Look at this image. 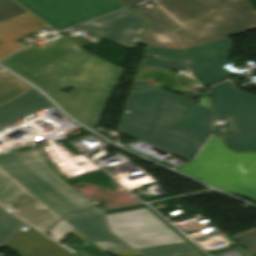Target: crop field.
<instances>
[{
    "label": "crop field",
    "instance_id": "obj_1",
    "mask_svg": "<svg viewBox=\"0 0 256 256\" xmlns=\"http://www.w3.org/2000/svg\"><path fill=\"white\" fill-rule=\"evenodd\" d=\"M0 63L46 90L68 113L93 129L123 72L65 37L41 47L30 45ZM71 88L73 94L61 92Z\"/></svg>",
    "mask_w": 256,
    "mask_h": 256
},
{
    "label": "crop field",
    "instance_id": "obj_2",
    "mask_svg": "<svg viewBox=\"0 0 256 256\" xmlns=\"http://www.w3.org/2000/svg\"><path fill=\"white\" fill-rule=\"evenodd\" d=\"M126 109L119 132L186 160L211 134L209 109L137 80Z\"/></svg>",
    "mask_w": 256,
    "mask_h": 256
},
{
    "label": "crop field",
    "instance_id": "obj_3",
    "mask_svg": "<svg viewBox=\"0 0 256 256\" xmlns=\"http://www.w3.org/2000/svg\"><path fill=\"white\" fill-rule=\"evenodd\" d=\"M15 1L57 31L124 7L116 0ZM45 26L13 1L0 0V58L26 46L15 40Z\"/></svg>",
    "mask_w": 256,
    "mask_h": 256
},
{
    "label": "crop field",
    "instance_id": "obj_4",
    "mask_svg": "<svg viewBox=\"0 0 256 256\" xmlns=\"http://www.w3.org/2000/svg\"><path fill=\"white\" fill-rule=\"evenodd\" d=\"M132 5L141 0H119ZM185 28L175 32L184 49L256 29L248 0H155Z\"/></svg>",
    "mask_w": 256,
    "mask_h": 256
},
{
    "label": "crop field",
    "instance_id": "obj_5",
    "mask_svg": "<svg viewBox=\"0 0 256 256\" xmlns=\"http://www.w3.org/2000/svg\"><path fill=\"white\" fill-rule=\"evenodd\" d=\"M0 165L61 217L97 210L47 166L41 147L1 155Z\"/></svg>",
    "mask_w": 256,
    "mask_h": 256
},
{
    "label": "crop field",
    "instance_id": "obj_6",
    "mask_svg": "<svg viewBox=\"0 0 256 256\" xmlns=\"http://www.w3.org/2000/svg\"><path fill=\"white\" fill-rule=\"evenodd\" d=\"M176 169L256 202V153H234L215 134L194 161Z\"/></svg>",
    "mask_w": 256,
    "mask_h": 256
},
{
    "label": "crop field",
    "instance_id": "obj_7",
    "mask_svg": "<svg viewBox=\"0 0 256 256\" xmlns=\"http://www.w3.org/2000/svg\"><path fill=\"white\" fill-rule=\"evenodd\" d=\"M215 116H231L235 134L221 139L235 152L256 151V96L241 92L228 81L210 87Z\"/></svg>",
    "mask_w": 256,
    "mask_h": 256
},
{
    "label": "crop field",
    "instance_id": "obj_8",
    "mask_svg": "<svg viewBox=\"0 0 256 256\" xmlns=\"http://www.w3.org/2000/svg\"><path fill=\"white\" fill-rule=\"evenodd\" d=\"M106 217L111 232L134 249L186 242L146 208Z\"/></svg>",
    "mask_w": 256,
    "mask_h": 256
},
{
    "label": "crop field",
    "instance_id": "obj_9",
    "mask_svg": "<svg viewBox=\"0 0 256 256\" xmlns=\"http://www.w3.org/2000/svg\"><path fill=\"white\" fill-rule=\"evenodd\" d=\"M32 195L0 167V207L12 209L11 214L45 232L61 217Z\"/></svg>",
    "mask_w": 256,
    "mask_h": 256
},
{
    "label": "crop field",
    "instance_id": "obj_10",
    "mask_svg": "<svg viewBox=\"0 0 256 256\" xmlns=\"http://www.w3.org/2000/svg\"><path fill=\"white\" fill-rule=\"evenodd\" d=\"M80 25L113 43L135 47L146 27V22L125 8Z\"/></svg>",
    "mask_w": 256,
    "mask_h": 256
},
{
    "label": "crop field",
    "instance_id": "obj_11",
    "mask_svg": "<svg viewBox=\"0 0 256 256\" xmlns=\"http://www.w3.org/2000/svg\"><path fill=\"white\" fill-rule=\"evenodd\" d=\"M231 49L228 38L188 48L190 68L207 86L225 80L229 71L218 64L228 61Z\"/></svg>",
    "mask_w": 256,
    "mask_h": 256
},
{
    "label": "crop field",
    "instance_id": "obj_12",
    "mask_svg": "<svg viewBox=\"0 0 256 256\" xmlns=\"http://www.w3.org/2000/svg\"><path fill=\"white\" fill-rule=\"evenodd\" d=\"M137 14L149 21V26L140 44L182 50L171 34L173 30L181 27V25L160 7L138 12Z\"/></svg>",
    "mask_w": 256,
    "mask_h": 256
},
{
    "label": "crop field",
    "instance_id": "obj_13",
    "mask_svg": "<svg viewBox=\"0 0 256 256\" xmlns=\"http://www.w3.org/2000/svg\"><path fill=\"white\" fill-rule=\"evenodd\" d=\"M4 247L21 256H74L29 227L25 232L19 230Z\"/></svg>",
    "mask_w": 256,
    "mask_h": 256
},
{
    "label": "crop field",
    "instance_id": "obj_14",
    "mask_svg": "<svg viewBox=\"0 0 256 256\" xmlns=\"http://www.w3.org/2000/svg\"><path fill=\"white\" fill-rule=\"evenodd\" d=\"M51 105L33 89L0 106V130Z\"/></svg>",
    "mask_w": 256,
    "mask_h": 256
},
{
    "label": "crop field",
    "instance_id": "obj_15",
    "mask_svg": "<svg viewBox=\"0 0 256 256\" xmlns=\"http://www.w3.org/2000/svg\"><path fill=\"white\" fill-rule=\"evenodd\" d=\"M141 65L188 71L183 52L151 47L147 48Z\"/></svg>",
    "mask_w": 256,
    "mask_h": 256
},
{
    "label": "crop field",
    "instance_id": "obj_16",
    "mask_svg": "<svg viewBox=\"0 0 256 256\" xmlns=\"http://www.w3.org/2000/svg\"><path fill=\"white\" fill-rule=\"evenodd\" d=\"M90 241L113 237L100 212L65 219Z\"/></svg>",
    "mask_w": 256,
    "mask_h": 256
},
{
    "label": "crop field",
    "instance_id": "obj_17",
    "mask_svg": "<svg viewBox=\"0 0 256 256\" xmlns=\"http://www.w3.org/2000/svg\"><path fill=\"white\" fill-rule=\"evenodd\" d=\"M29 86L9 72L0 71V105L30 90Z\"/></svg>",
    "mask_w": 256,
    "mask_h": 256
},
{
    "label": "crop field",
    "instance_id": "obj_18",
    "mask_svg": "<svg viewBox=\"0 0 256 256\" xmlns=\"http://www.w3.org/2000/svg\"><path fill=\"white\" fill-rule=\"evenodd\" d=\"M143 256H203L188 243L136 250Z\"/></svg>",
    "mask_w": 256,
    "mask_h": 256
},
{
    "label": "crop field",
    "instance_id": "obj_19",
    "mask_svg": "<svg viewBox=\"0 0 256 256\" xmlns=\"http://www.w3.org/2000/svg\"><path fill=\"white\" fill-rule=\"evenodd\" d=\"M22 224L23 223L0 210V244L4 243Z\"/></svg>",
    "mask_w": 256,
    "mask_h": 256
},
{
    "label": "crop field",
    "instance_id": "obj_20",
    "mask_svg": "<svg viewBox=\"0 0 256 256\" xmlns=\"http://www.w3.org/2000/svg\"><path fill=\"white\" fill-rule=\"evenodd\" d=\"M231 237L256 256V228L231 235Z\"/></svg>",
    "mask_w": 256,
    "mask_h": 256
},
{
    "label": "crop field",
    "instance_id": "obj_21",
    "mask_svg": "<svg viewBox=\"0 0 256 256\" xmlns=\"http://www.w3.org/2000/svg\"><path fill=\"white\" fill-rule=\"evenodd\" d=\"M93 243H95L104 252H112V251H120V250L130 249L128 246H126L124 243H122L116 237L99 240V241H94Z\"/></svg>",
    "mask_w": 256,
    "mask_h": 256
},
{
    "label": "crop field",
    "instance_id": "obj_22",
    "mask_svg": "<svg viewBox=\"0 0 256 256\" xmlns=\"http://www.w3.org/2000/svg\"><path fill=\"white\" fill-rule=\"evenodd\" d=\"M75 228L69 225L64 220L59 222L52 230V235L54 236L53 239L56 242H60L63 240L67 235H69Z\"/></svg>",
    "mask_w": 256,
    "mask_h": 256
},
{
    "label": "crop field",
    "instance_id": "obj_23",
    "mask_svg": "<svg viewBox=\"0 0 256 256\" xmlns=\"http://www.w3.org/2000/svg\"><path fill=\"white\" fill-rule=\"evenodd\" d=\"M111 254H113L115 256H140L139 254L135 253L132 250L120 251V252H112Z\"/></svg>",
    "mask_w": 256,
    "mask_h": 256
},
{
    "label": "crop field",
    "instance_id": "obj_24",
    "mask_svg": "<svg viewBox=\"0 0 256 256\" xmlns=\"http://www.w3.org/2000/svg\"><path fill=\"white\" fill-rule=\"evenodd\" d=\"M71 234L74 235L76 238H78L82 242L89 241L80 232H78L76 229Z\"/></svg>",
    "mask_w": 256,
    "mask_h": 256
},
{
    "label": "crop field",
    "instance_id": "obj_25",
    "mask_svg": "<svg viewBox=\"0 0 256 256\" xmlns=\"http://www.w3.org/2000/svg\"><path fill=\"white\" fill-rule=\"evenodd\" d=\"M76 256H87V255H85V254H82V253H79V252H77V251H75V252H73Z\"/></svg>",
    "mask_w": 256,
    "mask_h": 256
}]
</instances>
